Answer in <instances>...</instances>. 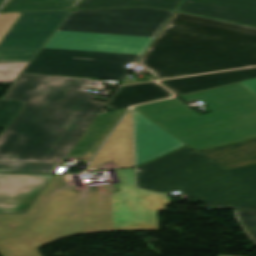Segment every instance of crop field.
<instances>
[{
	"label": "crop field",
	"mask_w": 256,
	"mask_h": 256,
	"mask_svg": "<svg viewBox=\"0 0 256 256\" xmlns=\"http://www.w3.org/2000/svg\"><path fill=\"white\" fill-rule=\"evenodd\" d=\"M240 83L256 94V79H252V80H248Z\"/></svg>",
	"instance_id": "obj_18"
},
{
	"label": "crop field",
	"mask_w": 256,
	"mask_h": 256,
	"mask_svg": "<svg viewBox=\"0 0 256 256\" xmlns=\"http://www.w3.org/2000/svg\"><path fill=\"white\" fill-rule=\"evenodd\" d=\"M239 224L256 244V210L233 211Z\"/></svg>",
	"instance_id": "obj_16"
},
{
	"label": "crop field",
	"mask_w": 256,
	"mask_h": 256,
	"mask_svg": "<svg viewBox=\"0 0 256 256\" xmlns=\"http://www.w3.org/2000/svg\"><path fill=\"white\" fill-rule=\"evenodd\" d=\"M139 62L158 79L256 66V28L176 12Z\"/></svg>",
	"instance_id": "obj_3"
},
{
	"label": "crop field",
	"mask_w": 256,
	"mask_h": 256,
	"mask_svg": "<svg viewBox=\"0 0 256 256\" xmlns=\"http://www.w3.org/2000/svg\"><path fill=\"white\" fill-rule=\"evenodd\" d=\"M58 164L0 162V173L53 174Z\"/></svg>",
	"instance_id": "obj_15"
},
{
	"label": "crop field",
	"mask_w": 256,
	"mask_h": 256,
	"mask_svg": "<svg viewBox=\"0 0 256 256\" xmlns=\"http://www.w3.org/2000/svg\"><path fill=\"white\" fill-rule=\"evenodd\" d=\"M137 166L162 154L185 146L179 140L133 109Z\"/></svg>",
	"instance_id": "obj_9"
},
{
	"label": "crop field",
	"mask_w": 256,
	"mask_h": 256,
	"mask_svg": "<svg viewBox=\"0 0 256 256\" xmlns=\"http://www.w3.org/2000/svg\"><path fill=\"white\" fill-rule=\"evenodd\" d=\"M90 80L21 73L2 97L26 103L0 134V160L65 158L104 104L84 92Z\"/></svg>",
	"instance_id": "obj_2"
},
{
	"label": "crop field",
	"mask_w": 256,
	"mask_h": 256,
	"mask_svg": "<svg viewBox=\"0 0 256 256\" xmlns=\"http://www.w3.org/2000/svg\"><path fill=\"white\" fill-rule=\"evenodd\" d=\"M52 176L0 174V214H26Z\"/></svg>",
	"instance_id": "obj_8"
},
{
	"label": "crop field",
	"mask_w": 256,
	"mask_h": 256,
	"mask_svg": "<svg viewBox=\"0 0 256 256\" xmlns=\"http://www.w3.org/2000/svg\"><path fill=\"white\" fill-rule=\"evenodd\" d=\"M139 169V188L160 193L179 190L214 208L256 209L255 192L187 147Z\"/></svg>",
	"instance_id": "obj_5"
},
{
	"label": "crop field",
	"mask_w": 256,
	"mask_h": 256,
	"mask_svg": "<svg viewBox=\"0 0 256 256\" xmlns=\"http://www.w3.org/2000/svg\"><path fill=\"white\" fill-rule=\"evenodd\" d=\"M178 10L256 27V0H185Z\"/></svg>",
	"instance_id": "obj_10"
},
{
	"label": "crop field",
	"mask_w": 256,
	"mask_h": 256,
	"mask_svg": "<svg viewBox=\"0 0 256 256\" xmlns=\"http://www.w3.org/2000/svg\"><path fill=\"white\" fill-rule=\"evenodd\" d=\"M179 98L200 99L213 113L199 116L176 98L134 108L196 151L256 137V95L241 84Z\"/></svg>",
	"instance_id": "obj_4"
},
{
	"label": "crop field",
	"mask_w": 256,
	"mask_h": 256,
	"mask_svg": "<svg viewBox=\"0 0 256 256\" xmlns=\"http://www.w3.org/2000/svg\"><path fill=\"white\" fill-rule=\"evenodd\" d=\"M81 0H0V13L73 9Z\"/></svg>",
	"instance_id": "obj_13"
},
{
	"label": "crop field",
	"mask_w": 256,
	"mask_h": 256,
	"mask_svg": "<svg viewBox=\"0 0 256 256\" xmlns=\"http://www.w3.org/2000/svg\"><path fill=\"white\" fill-rule=\"evenodd\" d=\"M24 103L0 99V128L4 129Z\"/></svg>",
	"instance_id": "obj_17"
},
{
	"label": "crop field",
	"mask_w": 256,
	"mask_h": 256,
	"mask_svg": "<svg viewBox=\"0 0 256 256\" xmlns=\"http://www.w3.org/2000/svg\"><path fill=\"white\" fill-rule=\"evenodd\" d=\"M252 78H256V68L165 80L159 83L180 96Z\"/></svg>",
	"instance_id": "obj_11"
},
{
	"label": "crop field",
	"mask_w": 256,
	"mask_h": 256,
	"mask_svg": "<svg viewBox=\"0 0 256 256\" xmlns=\"http://www.w3.org/2000/svg\"><path fill=\"white\" fill-rule=\"evenodd\" d=\"M173 12H71L23 72L123 80Z\"/></svg>",
	"instance_id": "obj_1"
},
{
	"label": "crop field",
	"mask_w": 256,
	"mask_h": 256,
	"mask_svg": "<svg viewBox=\"0 0 256 256\" xmlns=\"http://www.w3.org/2000/svg\"><path fill=\"white\" fill-rule=\"evenodd\" d=\"M182 0H82L75 10L146 6L175 10Z\"/></svg>",
	"instance_id": "obj_14"
},
{
	"label": "crop field",
	"mask_w": 256,
	"mask_h": 256,
	"mask_svg": "<svg viewBox=\"0 0 256 256\" xmlns=\"http://www.w3.org/2000/svg\"><path fill=\"white\" fill-rule=\"evenodd\" d=\"M71 11L0 14V82H14Z\"/></svg>",
	"instance_id": "obj_6"
},
{
	"label": "crop field",
	"mask_w": 256,
	"mask_h": 256,
	"mask_svg": "<svg viewBox=\"0 0 256 256\" xmlns=\"http://www.w3.org/2000/svg\"><path fill=\"white\" fill-rule=\"evenodd\" d=\"M171 94L155 82L120 87L105 108L116 111L130 105L151 102L170 97Z\"/></svg>",
	"instance_id": "obj_12"
},
{
	"label": "crop field",
	"mask_w": 256,
	"mask_h": 256,
	"mask_svg": "<svg viewBox=\"0 0 256 256\" xmlns=\"http://www.w3.org/2000/svg\"><path fill=\"white\" fill-rule=\"evenodd\" d=\"M199 154L256 192V138Z\"/></svg>",
	"instance_id": "obj_7"
}]
</instances>
